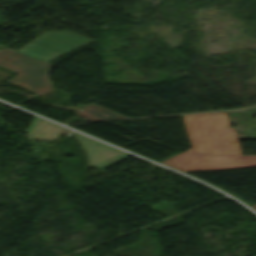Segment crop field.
Listing matches in <instances>:
<instances>
[{"label": "crop field", "instance_id": "crop-field-6", "mask_svg": "<svg viewBox=\"0 0 256 256\" xmlns=\"http://www.w3.org/2000/svg\"><path fill=\"white\" fill-rule=\"evenodd\" d=\"M80 116L88 118L90 120H106V119H119V118H127L119 113L111 111L109 109L103 108L96 104L88 107L87 109L77 113Z\"/></svg>", "mask_w": 256, "mask_h": 256}, {"label": "crop field", "instance_id": "crop-field-4", "mask_svg": "<svg viewBox=\"0 0 256 256\" xmlns=\"http://www.w3.org/2000/svg\"><path fill=\"white\" fill-rule=\"evenodd\" d=\"M73 135H75L83 145L88 155V165L98 169L103 170L130 155L81 135L75 133H73Z\"/></svg>", "mask_w": 256, "mask_h": 256}, {"label": "crop field", "instance_id": "crop-field-3", "mask_svg": "<svg viewBox=\"0 0 256 256\" xmlns=\"http://www.w3.org/2000/svg\"><path fill=\"white\" fill-rule=\"evenodd\" d=\"M89 40L90 39L68 31L48 32L35 39L18 52L48 63Z\"/></svg>", "mask_w": 256, "mask_h": 256}, {"label": "crop field", "instance_id": "crop-field-2", "mask_svg": "<svg viewBox=\"0 0 256 256\" xmlns=\"http://www.w3.org/2000/svg\"><path fill=\"white\" fill-rule=\"evenodd\" d=\"M14 51L8 49L0 50V60ZM1 66L18 72L9 82L33 91L39 95L51 90L48 75L51 65L27 57L18 52L14 53L0 63Z\"/></svg>", "mask_w": 256, "mask_h": 256}, {"label": "crop field", "instance_id": "crop-field-1", "mask_svg": "<svg viewBox=\"0 0 256 256\" xmlns=\"http://www.w3.org/2000/svg\"><path fill=\"white\" fill-rule=\"evenodd\" d=\"M183 118L192 149L162 163L182 172L256 166V155L242 156L225 112Z\"/></svg>", "mask_w": 256, "mask_h": 256}, {"label": "crop field", "instance_id": "crop-field-5", "mask_svg": "<svg viewBox=\"0 0 256 256\" xmlns=\"http://www.w3.org/2000/svg\"><path fill=\"white\" fill-rule=\"evenodd\" d=\"M60 130L61 127L34 117L30 127L27 130V138L31 140H36L37 137L56 139Z\"/></svg>", "mask_w": 256, "mask_h": 256}]
</instances>
